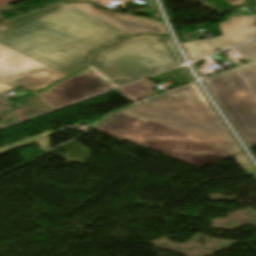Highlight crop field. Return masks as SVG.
Masks as SVG:
<instances>
[{"instance_id": "1", "label": "crop field", "mask_w": 256, "mask_h": 256, "mask_svg": "<svg viewBox=\"0 0 256 256\" xmlns=\"http://www.w3.org/2000/svg\"><path fill=\"white\" fill-rule=\"evenodd\" d=\"M130 36L61 2L0 23L1 43L67 75Z\"/></svg>"}, {"instance_id": "2", "label": "crop field", "mask_w": 256, "mask_h": 256, "mask_svg": "<svg viewBox=\"0 0 256 256\" xmlns=\"http://www.w3.org/2000/svg\"><path fill=\"white\" fill-rule=\"evenodd\" d=\"M121 111L158 121L233 154L241 151L195 83Z\"/></svg>"}, {"instance_id": "3", "label": "crop field", "mask_w": 256, "mask_h": 256, "mask_svg": "<svg viewBox=\"0 0 256 256\" xmlns=\"http://www.w3.org/2000/svg\"><path fill=\"white\" fill-rule=\"evenodd\" d=\"M95 128L199 167L233 155L155 121L144 122L121 111Z\"/></svg>"}, {"instance_id": "4", "label": "crop field", "mask_w": 256, "mask_h": 256, "mask_svg": "<svg viewBox=\"0 0 256 256\" xmlns=\"http://www.w3.org/2000/svg\"><path fill=\"white\" fill-rule=\"evenodd\" d=\"M183 63L169 36H138L97 54L91 66L115 87Z\"/></svg>"}, {"instance_id": "5", "label": "crop field", "mask_w": 256, "mask_h": 256, "mask_svg": "<svg viewBox=\"0 0 256 256\" xmlns=\"http://www.w3.org/2000/svg\"><path fill=\"white\" fill-rule=\"evenodd\" d=\"M250 148L256 146V62L204 80Z\"/></svg>"}, {"instance_id": "6", "label": "crop field", "mask_w": 256, "mask_h": 256, "mask_svg": "<svg viewBox=\"0 0 256 256\" xmlns=\"http://www.w3.org/2000/svg\"><path fill=\"white\" fill-rule=\"evenodd\" d=\"M114 88L91 67L38 93L53 108Z\"/></svg>"}, {"instance_id": "7", "label": "crop field", "mask_w": 256, "mask_h": 256, "mask_svg": "<svg viewBox=\"0 0 256 256\" xmlns=\"http://www.w3.org/2000/svg\"><path fill=\"white\" fill-rule=\"evenodd\" d=\"M64 3L132 35L142 33L167 34L163 24L158 21L133 15L102 11L89 3Z\"/></svg>"}, {"instance_id": "8", "label": "crop field", "mask_w": 256, "mask_h": 256, "mask_svg": "<svg viewBox=\"0 0 256 256\" xmlns=\"http://www.w3.org/2000/svg\"><path fill=\"white\" fill-rule=\"evenodd\" d=\"M47 68L0 43V81L10 83Z\"/></svg>"}, {"instance_id": "9", "label": "crop field", "mask_w": 256, "mask_h": 256, "mask_svg": "<svg viewBox=\"0 0 256 256\" xmlns=\"http://www.w3.org/2000/svg\"><path fill=\"white\" fill-rule=\"evenodd\" d=\"M219 28L235 45L256 36L254 15L229 17L228 21L218 23Z\"/></svg>"}, {"instance_id": "10", "label": "crop field", "mask_w": 256, "mask_h": 256, "mask_svg": "<svg viewBox=\"0 0 256 256\" xmlns=\"http://www.w3.org/2000/svg\"><path fill=\"white\" fill-rule=\"evenodd\" d=\"M65 76L66 75L49 68L10 84L37 91Z\"/></svg>"}, {"instance_id": "11", "label": "crop field", "mask_w": 256, "mask_h": 256, "mask_svg": "<svg viewBox=\"0 0 256 256\" xmlns=\"http://www.w3.org/2000/svg\"><path fill=\"white\" fill-rule=\"evenodd\" d=\"M154 87L155 85H153L151 82L145 79L141 82L118 89V91L122 93L126 98L133 101L154 94L152 90Z\"/></svg>"}, {"instance_id": "12", "label": "crop field", "mask_w": 256, "mask_h": 256, "mask_svg": "<svg viewBox=\"0 0 256 256\" xmlns=\"http://www.w3.org/2000/svg\"><path fill=\"white\" fill-rule=\"evenodd\" d=\"M185 50L187 51L191 60L198 59L200 57L215 53L216 51L211 48L203 40L183 43Z\"/></svg>"}, {"instance_id": "13", "label": "crop field", "mask_w": 256, "mask_h": 256, "mask_svg": "<svg viewBox=\"0 0 256 256\" xmlns=\"http://www.w3.org/2000/svg\"><path fill=\"white\" fill-rule=\"evenodd\" d=\"M53 133H56V132L51 130V131L43 133L41 135H38V136H35V137H32V138H28V139L22 140L20 142L11 144L9 146L0 148V154H2L4 152H7V151H10L12 149H15L17 147H20L22 145L28 144L30 142H33L35 140H37V142H38L42 151L46 150V149H49V135H51Z\"/></svg>"}, {"instance_id": "14", "label": "crop field", "mask_w": 256, "mask_h": 256, "mask_svg": "<svg viewBox=\"0 0 256 256\" xmlns=\"http://www.w3.org/2000/svg\"><path fill=\"white\" fill-rule=\"evenodd\" d=\"M238 53H240L242 56L250 59L255 60L256 59V41L234 48Z\"/></svg>"}, {"instance_id": "15", "label": "crop field", "mask_w": 256, "mask_h": 256, "mask_svg": "<svg viewBox=\"0 0 256 256\" xmlns=\"http://www.w3.org/2000/svg\"><path fill=\"white\" fill-rule=\"evenodd\" d=\"M247 174H256V169L253 167L249 159L246 157L244 152H240L234 155Z\"/></svg>"}, {"instance_id": "16", "label": "crop field", "mask_w": 256, "mask_h": 256, "mask_svg": "<svg viewBox=\"0 0 256 256\" xmlns=\"http://www.w3.org/2000/svg\"><path fill=\"white\" fill-rule=\"evenodd\" d=\"M207 42H209L214 48L218 50H223L228 47L234 46V44H232L224 36L210 38Z\"/></svg>"}, {"instance_id": "17", "label": "crop field", "mask_w": 256, "mask_h": 256, "mask_svg": "<svg viewBox=\"0 0 256 256\" xmlns=\"http://www.w3.org/2000/svg\"><path fill=\"white\" fill-rule=\"evenodd\" d=\"M13 88H15V87L8 86V85H5V84L0 83V95H1L2 93H4V92H7V91L13 89Z\"/></svg>"}, {"instance_id": "18", "label": "crop field", "mask_w": 256, "mask_h": 256, "mask_svg": "<svg viewBox=\"0 0 256 256\" xmlns=\"http://www.w3.org/2000/svg\"><path fill=\"white\" fill-rule=\"evenodd\" d=\"M226 1H228L230 4H232V5H234V6H237V5L242 4V2H243L244 0H226Z\"/></svg>"}, {"instance_id": "19", "label": "crop field", "mask_w": 256, "mask_h": 256, "mask_svg": "<svg viewBox=\"0 0 256 256\" xmlns=\"http://www.w3.org/2000/svg\"><path fill=\"white\" fill-rule=\"evenodd\" d=\"M255 3H256V0H249L246 5L253 8L255 7Z\"/></svg>"}, {"instance_id": "20", "label": "crop field", "mask_w": 256, "mask_h": 256, "mask_svg": "<svg viewBox=\"0 0 256 256\" xmlns=\"http://www.w3.org/2000/svg\"><path fill=\"white\" fill-rule=\"evenodd\" d=\"M90 1H92V2L96 3V2H98V1H100V0H90Z\"/></svg>"}, {"instance_id": "21", "label": "crop field", "mask_w": 256, "mask_h": 256, "mask_svg": "<svg viewBox=\"0 0 256 256\" xmlns=\"http://www.w3.org/2000/svg\"><path fill=\"white\" fill-rule=\"evenodd\" d=\"M222 75V74H221ZM218 76V75H217Z\"/></svg>"}]
</instances>
